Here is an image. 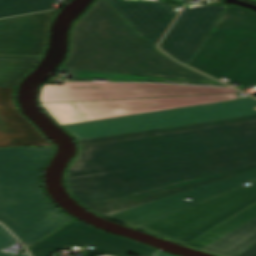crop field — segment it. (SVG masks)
Wrapping results in <instances>:
<instances>
[{
	"label": "crop field",
	"instance_id": "crop-field-1",
	"mask_svg": "<svg viewBox=\"0 0 256 256\" xmlns=\"http://www.w3.org/2000/svg\"><path fill=\"white\" fill-rule=\"evenodd\" d=\"M78 142L65 184L86 206L256 163V115Z\"/></svg>",
	"mask_w": 256,
	"mask_h": 256
},
{
	"label": "crop field",
	"instance_id": "crop-field-2",
	"mask_svg": "<svg viewBox=\"0 0 256 256\" xmlns=\"http://www.w3.org/2000/svg\"><path fill=\"white\" fill-rule=\"evenodd\" d=\"M62 67L219 83L170 60L107 0H96L75 23L71 50Z\"/></svg>",
	"mask_w": 256,
	"mask_h": 256
},
{
	"label": "crop field",
	"instance_id": "crop-field-3",
	"mask_svg": "<svg viewBox=\"0 0 256 256\" xmlns=\"http://www.w3.org/2000/svg\"><path fill=\"white\" fill-rule=\"evenodd\" d=\"M54 149H0V221L27 247L51 234L65 221L44 195L40 175Z\"/></svg>",
	"mask_w": 256,
	"mask_h": 256
},
{
	"label": "crop field",
	"instance_id": "crop-field-4",
	"mask_svg": "<svg viewBox=\"0 0 256 256\" xmlns=\"http://www.w3.org/2000/svg\"><path fill=\"white\" fill-rule=\"evenodd\" d=\"M188 66L224 76L232 80L226 84L242 85L239 90L256 84V14L228 6Z\"/></svg>",
	"mask_w": 256,
	"mask_h": 256
},
{
	"label": "crop field",
	"instance_id": "crop-field-5",
	"mask_svg": "<svg viewBox=\"0 0 256 256\" xmlns=\"http://www.w3.org/2000/svg\"><path fill=\"white\" fill-rule=\"evenodd\" d=\"M135 228L186 244L256 202V179Z\"/></svg>",
	"mask_w": 256,
	"mask_h": 256
},
{
	"label": "crop field",
	"instance_id": "crop-field-6",
	"mask_svg": "<svg viewBox=\"0 0 256 256\" xmlns=\"http://www.w3.org/2000/svg\"><path fill=\"white\" fill-rule=\"evenodd\" d=\"M256 100L249 98L225 103L147 113L132 117L65 127L77 140L208 120L256 114Z\"/></svg>",
	"mask_w": 256,
	"mask_h": 256
},
{
	"label": "crop field",
	"instance_id": "crop-field-7",
	"mask_svg": "<svg viewBox=\"0 0 256 256\" xmlns=\"http://www.w3.org/2000/svg\"><path fill=\"white\" fill-rule=\"evenodd\" d=\"M239 95L240 94H221L131 100L65 102L41 104V106L61 126L243 99V97ZM245 98H249V96Z\"/></svg>",
	"mask_w": 256,
	"mask_h": 256
},
{
	"label": "crop field",
	"instance_id": "crop-field-8",
	"mask_svg": "<svg viewBox=\"0 0 256 256\" xmlns=\"http://www.w3.org/2000/svg\"><path fill=\"white\" fill-rule=\"evenodd\" d=\"M219 93L241 92L230 88L204 86L63 82L62 85H43L39 95V102L130 99Z\"/></svg>",
	"mask_w": 256,
	"mask_h": 256
},
{
	"label": "crop field",
	"instance_id": "crop-field-9",
	"mask_svg": "<svg viewBox=\"0 0 256 256\" xmlns=\"http://www.w3.org/2000/svg\"><path fill=\"white\" fill-rule=\"evenodd\" d=\"M227 6L186 5L160 48L187 65Z\"/></svg>",
	"mask_w": 256,
	"mask_h": 256
},
{
	"label": "crop field",
	"instance_id": "crop-field-10",
	"mask_svg": "<svg viewBox=\"0 0 256 256\" xmlns=\"http://www.w3.org/2000/svg\"><path fill=\"white\" fill-rule=\"evenodd\" d=\"M93 246L98 251L123 256L128 252L148 256L156 251L136 242L107 234L79 222H72L45 240L30 247L33 256H49L66 246Z\"/></svg>",
	"mask_w": 256,
	"mask_h": 256
},
{
	"label": "crop field",
	"instance_id": "crop-field-11",
	"mask_svg": "<svg viewBox=\"0 0 256 256\" xmlns=\"http://www.w3.org/2000/svg\"><path fill=\"white\" fill-rule=\"evenodd\" d=\"M256 178V170L121 211L106 218L135 227ZM189 197L192 201L183 199Z\"/></svg>",
	"mask_w": 256,
	"mask_h": 256
},
{
	"label": "crop field",
	"instance_id": "crop-field-12",
	"mask_svg": "<svg viewBox=\"0 0 256 256\" xmlns=\"http://www.w3.org/2000/svg\"><path fill=\"white\" fill-rule=\"evenodd\" d=\"M256 242V203L186 244L220 256H239Z\"/></svg>",
	"mask_w": 256,
	"mask_h": 256
},
{
	"label": "crop field",
	"instance_id": "crop-field-13",
	"mask_svg": "<svg viewBox=\"0 0 256 256\" xmlns=\"http://www.w3.org/2000/svg\"><path fill=\"white\" fill-rule=\"evenodd\" d=\"M54 12L0 20V54L41 55Z\"/></svg>",
	"mask_w": 256,
	"mask_h": 256
},
{
	"label": "crop field",
	"instance_id": "crop-field-14",
	"mask_svg": "<svg viewBox=\"0 0 256 256\" xmlns=\"http://www.w3.org/2000/svg\"><path fill=\"white\" fill-rule=\"evenodd\" d=\"M145 38L157 43L177 13L158 0H108Z\"/></svg>",
	"mask_w": 256,
	"mask_h": 256
},
{
	"label": "crop field",
	"instance_id": "crop-field-15",
	"mask_svg": "<svg viewBox=\"0 0 256 256\" xmlns=\"http://www.w3.org/2000/svg\"><path fill=\"white\" fill-rule=\"evenodd\" d=\"M13 88L0 87V148L16 146L53 147L40 132L19 113L13 104Z\"/></svg>",
	"mask_w": 256,
	"mask_h": 256
},
{
	"label": "crop field",
	"instance_id": "crop-field-16",
	"mask_svg": "<svg viewBox=\"0 0 256 256\" xmlns=\"http://www.w3.org/2000/svg\"><path fill=\"white\" fill-rule=\"evenodd\" d=\"M254 169H256V165L87 206L86 208L95 214L105 216Z\"/></svg>",
	"mask_w": 256,
	"mask_h": 256
},
{
	"label": "crop field",
	"instance_id": "crop-field-17",
	"mask_svg": "<svg viewBox=\"0 0 256 256\" xmlns=\"http://www.w3.org/2000/svg\"><path fill=\"white\" fill-rule=\"evenodd\" d=\"M58 70L73 73L70 81H92L94 79H108L109 81H143V82H160V83L206 85V86H225V85H219V84L135 77V76L88 72V71H80V70H72V69H64V68H60Z\"/></svg>",
	"mask_w": 256,
	"mask_h": 256
},
{
	"label": "crop field",
	"instance_id": "crop-field-18",
	"mask_svg": "<svg viewBox=\"0 0 256 256\" xmlns=\"http://www.w3.org/2000/svg\"><path fill=\"white\" fill-rule=\"evenodd\" d=\"M39 58L0 57V86L14 87Z\"/></svg>",
	"mask_w": 256,
	"mask_h": 256
},
{
	"label": "crop field",
	"instance_id": "crop-field-19",
	"mask_svg": "<svg viewBox=\"0 0 256 256\" xmlns=\"http://www.w3.org/2000/svg\"><path fill=\"white\" fill-rule=\"evenodd\" d=\"M53 0H0V17L53 9Z\"/></svg>",
	"mask_w": 256,
	"mask_h": 256
},
{
	"label": "crop field",
	"instance_id": "crop-field-20",
	"mask_svg": "<svg viewBox=\"0 0 256 256\" xmlns=\"http://www.w3.org/2000/svg\"><path fill=\"white\" fill-rule=\"evenodd\" d=\"M16 242L18 241L0 225V256H13L3 250Z\"/></svg>",
	"mask_w": 256,
	"mask_h": 256
},
{
	"label": "crop field",
	"instance_id": "crop-field-21",
	"mask_svg": "<svg viewBox=\"0 0 256 256\" xmlns=\"http://www.w3.org/2000/svg\"><path fill=\"white\" fill-rule=\"evenodd\" d=\"M240 256H256V243L254 245H252L249 249H247Z\"/></svg>",
	"mask_w": 256,
	"mask_h": 256
},
{
	"label": "crop field",
	"instance_id": "crop-field-22",
	"mask_svg": "<svg viewBox=\"0 0 256 256\" xmlns=\"http://www.w3.org/2000/svg\"><path fill=\"white\" fill-rule=\"evenodd\" d=\"M56 216H58V217L64 219L67 223L70 222L71 220H73V219H71L70 217L66 216V215H65L64 213H62V212L59 213V214H57Z\"/></svg>",
	"mask_w": 256,
	"mask_h": 256
},
{
	"label": "crop field",
	"instance_id": "crop-field-23",
	"mask_svg": "<svg viewBox=\"0 0 256 256\" xmlns=\"http://www.w3.org/2000/svg\"><path fill=\"white\" fill-rule=\"evenodd\" d=\"M151 256H170L161 252L156 251L155 253H153Z\"/></svg>",
	"mask_w": 256,
	"mask_h": 256
},
{
	"label": "crop field",
	"instance_id": "crop-field-24",
	"mask_svg": "<svg viewBox=\"0 0 256 256\" xmlns=\"http://www.w3.org/2000/svg\"><path fill=\"white\" fill-rule=\"evenodd\" d=\"M19 256H27V254H26V252H25V253H23V254H21V255H19Z\"/></svg>",
	"mask_w": 256,
	"mask_h": 256
},
{
	"label": "crop field",
	"instance_id": "crop-field-25",
	"mask_svg": "<svg viewBox=\"0 0 256 256\" xmlns=\"http://www.w3.org/2000/svg\"><path fill=\"white\" fill-rule=\"evenodd\" d=\"M178 1L185 3V1H184V0H178Z\"/></svg>",
	"mask_w": 256,
	"mask_h": 256
}]
</instances>
